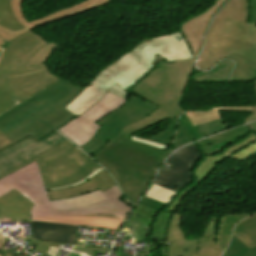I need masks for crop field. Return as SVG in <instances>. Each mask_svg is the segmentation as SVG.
<instances>
[{
    "mask_svg": "<svg viewBox=\"0 0 256 256\" xmlns=\"http://www.w3.org/2000/svg\"><path fill=\"white\" fill-rule=\"evenodd\" d=\"M158 107L132 93L127 102L97 122L102 127L81 149L90 156L97 153L108 141L113 142L124 126L148 116Z\"/></svg>",
    "mask_w": 256,
    "mask_h": 256,
    "instance_id": "obj_9",
    "label": "crop field"
},
{
    "mask_svg": "<svg viewBox=\"0 0 256 256\" xmlns=\"http://www.w3.org/2000/svg\"><path fill=\"white\" fill-rule=\"evenodd\" d=\"M5 241H6V239L3 238L2 236H0V249H1V247H2L3 245H5ZM0 256H2V255H0Z\"/></svg>",
    "mask_w": 256,
    "mask_h": 256,
    "instance_id": "obj_49",
    "label": "crop field"
},
{
    "mask_svg": "<svg viewBox=\"0 0 256 256\" xmlns=\"http://www.w3.org/2000/svg\"><path fill=\"white\" fill-rule=\"evenodd\" d=\"M119 136H122V137H125V138H128V139H131V140H134V141L143 143V144H147V145H150V146L159 148V149L167 150L168 148H170V147L165 146V145H162V144H158V143H155V142H152V141H147V140L142 139V138H138V137H134V136L128 135V134H126V133H124V132H121V133L119 134Z\"/></svg>",
    "mask_w": 256,
    "mask_h": 256,
    "instance_id": "obj_38",
    "label": "crop field"
},
{
    "mask_svg": "<svg viewBox=\"0 0 256 256\" xmlns=\"http://www.w3.org/2000/svg\"><path fill=\"white\" fill-rule=\"evenodd\" d=\"M236 237L235 235H233ZM237 238V237H236ZM242 244H244L249 250L256 248V232L253 234H250L246 237H243L241 239L237 238Z\"/></svg>",
    "mask_w": 256,
    "mask_h": 256,
    "instance_id": "obj_39",
    "label": "crop field"
},
{
    "mask_svg": "<svg viewBox=\"0 0 256 256\" xmlns=\"http://www.w3.org/2000/svg\"><path fill=\"white\" fill-rule=\"evenodd\" d=\"M137 215V214H136ZM158 219V216L157 215H155V216H153V221H151L152 222V224H151V226H150V233L151 234H153V232H152V228H153V225H154V222L156 221Z\"/></svg>",
    "mask_w": 256,
    "mask_h": 256,
    "instance_id": "obj_48",
    "label": "crop field"
},
{
    "mask_svg": "<svg viewBox=\"0 0 256 256\" xmlns=\"http://www.w3.org/2000/svg\"><path fill=\"white\" fill-rule=\"evenodd\" d=\"M194 64V59L162 61L130 88L129 91L160 107L143 120L124 127L123 131L133 134L166 118L172 121L178 117L184 111L179 103Z\"/></svg>",
    "mask_w": 256,
    "mask_h": 256,
    "instance_id": "obj_5",
    "label": "crop field"
},
{
    "mask_svg": "<svg viewBox=\"0 0 256 256\" xmlns=\"http://www.w3.org/2000/svg\"><path fill=\"white\" fill-rule=\"evenodd\" d=\"M102 169H103V168H101V167H100V168H99V169H97L95 172H93L91 175H89V176H88V177H86L84 180H82V181H80V182H78V183H75V184L70 185V186L62 187V188L49 189V190H47V191H51V190H59V189H64V188H68V187L75 186V185L80 184V183H82V182H84V181L88 180L89 178L93 177L95 174H97L98 172H100Z\"/></svg>",
    "mask_w": 256,
    "mask_h": 256,
    "instance_id": "obj_45",
    "label": "crop field"
},
{
    "mask_svg": "<svg viewBox=\"0 0 256 256\" xmlns=\"http://www.w3.org/2000/svg\"><path fill=\"white\" fill-rule=\"evenodd\" d=\"M256 231V214L236 225L233 234L241 238Z\"/></svg>",
    "mask_w": 256,
    "mask_h": 256,
    "instance_id": "obj_33",
    "label": "crop field"
},
{
    "mask_svg": "<svg viewBox=\"0 0 256 256\" xmlns=\"http://www.w3.org/2000/svg\"><path fill=\"white\" fill-rule=\"evenodd\" d=\"M251 214H253V213L225 215L223 227H222L221 238H220V250L221 251H225V249L228 245V242H229V239L231 236V231L233 229V225Z\"/></svg>",
    "mask_w": 256,
    "mask_h": 256,
    "instance_id": "obj_29",
    "label": "crop field"
},
{
    "mask_svg": "<svg viewBox=\"0 0 256 256\" xmlns=\"http://www.w3.org/2000/svg\"><path fill=\"white\" fill-rule=\"evenodd\" d=\"M251 9H250V17L249 22H256V0H250Z\"/></svg>",
    "mask_w": 256,
    "mask_h": 256,
    "instance_id": "obj_43",
    "label": "crop field"
},
{
    "mask_svg": "<svg viewBox=\"0 0 256 256\" xmlns=\"http://www.w3.org/2000/svg\"><path fill=\"white\" fill-rule=\"evenodd\" d=\"M224 215L211 217L210 223L198 241L197 256H221L219 250V237Z\"/></svg>",
    "mask_w": 256,
    "mask_h": 256,
    "instance_id": "obj_23",
    "label": "crop field"
},
{
    "mask_svg": "<svg viewBox=\"0 0 256 256\" xmlns=\"http://www.w3.org/2000/svg\"><path fill=\"white\" fill-rule=\"evenodd\" d=\"M13 144L0 132V150ZM34 203L22 196L15 189L0 198V222H20L19 219H29Z\"/></svg>",
    "mask_w": 256,
    "mask_h": 256,
    "instance_id": "obj_15",
    "label": "crop field"
},
{
    "mask_svg": "<svg viewBox=\"0 0 256 256\" xmlns=\"http://www.w3.org/2000/svg\"><path fill=\"white\" fill-rule=\"evenodd\" d=\"M4 50H5L4 48H1V47H0V59H1V57H2V54H3Z\"/></svg>",
    "mask_w": 256,
    "mask_h": 256,
    "instance_id": "obj_51",
    "label": "crop field"
},
{
    "mask_svg": "<svg viewBox=\"0 0 256 256\" xmlns=\"http://www.w3.org/2000/svg\"><path fill=\"white\" fill-rule=\"evenodd\" d=\"M69 155L73 160L42 173L46 189L78 182L100 167L79 149Z\"/></svg>",
    "mask_w": 256,
    "mask_h": 256,
    "instance_id": "obj_12",
    "label": "crop field"
},
{
    "mask_svg": "<svg viewBox=\"0 0 256 256\" xmlns=\"http://www.w3.org/2000/svg\"><path fill=\"white\" fill-rule=\"evenodd\" d=\"M248 126L254 133H256V121L248 124Z\"/></svg>",
    "mask_w": 256,
    "mask_h": 256,
    "instance_id": "obj_47",
    "label": "crop field"
},
{
    "mask_svg": "<svg viewBox=\"0 0 256 256\" xmlns=\"http://www.w3.org/2000/svg\"><path fill=\"white\" fill-rule=\"evenodd\" d=\"M229 127L228 123H223L221 119L207 124L192 127L185 115L179 117V126L175 138L174 150L192 140L206 137L214 132ZM193 142V141H192Z\"/></svg>",
    "mask_w": 256,
    "mask_h": 256,
    "instance_id": "obj_17",
    "label": "crop field"
},
{
    "mask_svg": "<svg viewBox=\"0 0 256 256\" xmlns=\"http://www.w3.org/2000/svg\"><path fill=\"white\" fill-rule=\"evenodd\" d=\"M156 214H159V212H158V213H156Z\"/></svg>",
    "mask_w": 256,
    "mask_h": 256,
    "instance_id": "obj_53",
    "label": "crop field"
},
{
    "mask_svg": "<svg viewBox=\"0 0 256 256\" xmlns=\"http://www.w3.org/2000/svg\"><path fill=\"white\" fill-rule=\"evenodd\" d=\"M228 58H231L235 62L231 82L256 80V71L251 60L232 53H230Z\"/></svg>",
    "mask_w": 256,
    "mask_h": 256,
    "instance_id": "obj_24",
    "label": "crop field"
},
{
    "mask_svg": "<svg viewBox=\"0 0 256 256\" xmlns=\"http://www.w3.org/2000/svg\"><path fill=\"white\" fill-rule=\"evenodd\" d=\"M170 152L171 148L163 151L117 136L113 143L108 142L91 157L103 165L118 182L123 193L137 203Z\"/></svg>",
    "mask_w": 256,
    "mask_h": 256,
    "instance_id": "obj_4",
    "label": "crop field"
},
{
    "mask_svg": "<svg viewBox=\"0 0 256 256\" xmlns=\"http://www.w3.org/2000/svg\"><path fill=\"white\" fill-rule=\"evenodd\" d=\"M223 256H256V249L249 251L236 238L232 237L230 246Z\"/></svg>",
    "mask_w": 256,
    "mask_h": 256,
    "instance_id": "obj_32",
    "label": "crop field"
},
{
    "mask_svg": "<svg viewBox=\"0 0 256 256\" xmlns=\"http://www.w3.org/2000/svg\"><path fill=\"white\" fill-rule=\"evenodd\" d=\"M56 47L32 30L9 43L0 62V114L59 79L45 65Z\"/></svg>",
    "mask_w": 256,
    "mask_h": 256,
    "instance_id": "obj_2",
    "label": "crop field"
},
{
    "mask_svg": "<svg viewBox=\"0 0 256 256\" xmlns=\"http://www.w3.org/2000/svg\"><path fill=\"white\" fill-rule=\"evenodd\" d=\"M0 254H2V255H4V256H11V255H9V254H7V253L1 251V250H0Z\"/></svg>",
    "mask_w": 256,
    "mask_h": 256,
    "instance_id": "obj_52",
    "label": "crop field"
},
{
    "mask_svg": "<svg viewBox=\"0 0 256 256\" xmlns=\"http://www.w3.org/2000/svg\"><path fill=\"white\" fill-rule=\"evenodd\" d=\"M82 90L61 79L1 114L0 131L14 143L29 135L40 140L76 117L63 107Z\"/></svg>",
    "mask_w": 256,
    "mask_h": 256,
    "instance_id": "obj_3",
    "label": "crop field"
},
{
    "mask_svg": "<svg viewBox=\"0 0 256 256\" xmlns=\"http://www.w3.org/2000/svg\"><path fill=\"white\" fill-rule=\"evenodd\" d=\"M226 157L227 156L222 153L205 157L194 170L195 183L193 184L192 189Z\"/></svg>",
    "mask_w": 256,
    "mask_h": 256,
    "instance_id": "obj_28",
    "label": "crop field"
},
{
    "mask_svg": "<svg viewBox=\"0 0 256 256\" xmlns=\"http://www.w3.org/2000/svg\"><path fill=\"white\" fill-rule=\"evenodd\" d=\"M177 194L178 192L160 187L152 183L145 196L169 205V203Z\"/></svg>",
    "mask_w": 256,
    "mask_h": 256,
    "instance_id": "obj_31",
    "label": "crop field"
},
{
    "mask_svg": "<svg viewBox=\"0 0 256 256\" xmlns=\"http://www.w3.org/2000/svg\"><path fill=\"white\" fill-rule=\"evenodd\" d=\"M249 9V0H229L224 5L210 25L198 69H211L230 52L252 59L256 69V44L249 41Z\"/></svg>",
    "mask_w": 256,
    "mask_h": 256,
    "instance_id": "obj_6",
    "label": "crop field"
},
{
    "mask_svg": "<svg viewBox=\"0 0 256 256\" xmlns=\"http://www.w3.org/2000/svg\"><path fill=\"white\" fill-rule=\"evenodd\" d=\"M225 1L226 0H216L215 4L204 13L181 24L182 33L187 43L189 44L195 59L197 57L198 50L200 48L210 19L214 13L225 3Z\"/></svg>",
    "mask_w": 256,
    "mask_h": 256,
    "instance_id": "obj_16",
    "label": "crop field"
},
{
    "mask_svg": "<svg viewBox=\"0 0 256 256\" xmlns=\"http://www.w3.org/2000/svg\"><path fill=\"white\" fill-rule=\"evenodd\" d=\"M110 0H85L78 5L71 7L69 9H63L56 11L55 13L46 16L45 18H40L34 21L28 22L24 17L22 13V7H21V0H11V8L17 18V20L25 27L21 30H18L17 32L8 30L2 26H0V36L6 41L9 42L11 39L13 40L17 36L21 35L22 33L34 29L35 27H38L39 25H44L46 23H50L54 20H60L66 17H69L71 15H77L78 13L87 12L94 8H98L100 6H103L107 3H110ZM87 8V10H85ZM52 19V20H50Z\"/></svg>",
    "mask_w": 256,
    "mask_h": 256,
    "instance_id": "obj_14",
    "label": "crop field"
},
{
    "mask_svg": "<svg viewBox=\"0 0 256 256\" xmlns=\"http://www.w3.org/2000/svg\"><path fill=\"white\" fill-rule=\"evenodd\" d=\"M233 62L224 60L208 72L195 75L196 82H228Z\"/></svg>",
    "mask_w": 256,
    "mask_h": 256,
    "instance_id": "obj_25",
    "label": "crop field"
},
{
    "mask_svg": "<svg viewBox=\"0 0 256 256\" xmlns=\"http://www.w3.org/2000/svg\"><path fill=\"white\" fill-rule=\"evenodd\" d=\"M157 211L150 209L148 207H145L141 204L137 207V209L134 211V213H137L143 217L149 218L152 220V215L156 213ZM133 213V214H134ZM130 217V220L138 221L140 223V226L138 227L136 232L130 231L134 237H136L137 241L142 239V235L140 234L143 231H147L148 227L150 226L151 222L147 219L141 218L139 216L133 215ZM172 214L161 212L159 215V219L156 221L153 232L155 235H158L163 238V240H166V234H167V227L169 224V221L171 219Z\"/></svg>",
    "mask_w": 256,
    "mask_h": 256,
    "instance_id": "obj_20",
    "label": "crop field"
},
{
    "mask_svg": "<svg viewBox=\"0 0 256 256\" xmlns=\"http://www.w3.org/2000/svg\"><path fill=\"white\" fill-rule=\"evenodd\" d=\"M125 101L126 100L107 92L93 107L74 121L59 129V131L80 147L88 143L99 130L100 126L95 123Z\"/></svg>",
    "mask_w": 256,
    "mask_h": 256,
    "instance_id": "obj_11",
    "label": "crop field"
},
{
    "mask_svg": "<svg viewBox=\"0 0 256 256\" xmlns=\"http://www.w3.org/2000/svg\"><path fill=\"white\" fill-rule=\"evenodd\" d=\"M246 125L227 131L203 141L196 142L204 156L220 153L227 146H230L249 133Z\"/></svg>",
    "mask_w": 256,
    "mask_h": 256,
    "instance_id": "obj_21",
    "label": "crop field"
},
{
    "mask_svg": "<svg viewBox=\"0 0 256 256\" xmlns=\"http://www.w3.org/2000/svg\"><path fill=\"white\" fill-rule=\"evenodd\" d=\"M141 204L148 206L150 208H153L157 211H161V210H165V208L167 207V205H164L162 203L156 202L154 200L148 199L146 197H144V199L141 201Z\"/></svg>",
    "mask_w": 256,
    "mask_h": 256,
    "instance_id": "obj_41",
    "label": "crop field"
},
{
    "mask_svg": "<svg viewBox=\"0 0 256 256\" xmlns=\"http://www.w3.org/2000/svg\"><path fill=\"white\" fill-rule=\"evenodd\" d=\"M193 58L181 32L142 40L131 52L99 72L91 84L64 108L77 117L109 91L124 99L136 82L161 60L171 62Z\"/></svg>",
    "mask_w": 256,
    "mask_h": 256,
    "instance_id": "obj_1",
    "label": "crop field"
},
{
    "mask_svg": "<svg viewBox=\"0 0 256 256\" xmlns=\"http://www.w3.org/2000/svg\"><path fill=\"white\" fill-rule=\"evenodd\" d=\"M181 216L173 214L171 222L168 227L167 240L185 239L179 224Z\"/></svg>",
    "mask_w": 256,
    "mask_h": 256,
    "instance_id": "obj_35",
    "label": "crop field"
},
{
    "mask_svg": "<svg viewBox=\"0 0 256 256\" xmlns=\"http://www.w3.org/2000/svg\"><path fill=\"white\" fill-rule=\"evenodd\" d=\"M109 248H97V247H79L75 246L74 250L89 253L94 255L95 252L107 254Z\"/></svg>",
    "mask_w": 256,
    "mask_h": 256,
    "instance_id": "obj_42",
    "label": "crop field"
},
{
    "mask_svg": "<svg viewBox=\"0 0 256 256\" xmlns=\"http://www.w3.org/2000/svg\"><path fill=\"white\" fill-rule=\"evenodd\" d=\"M118 186L105 192L95 191L75 198L50 201L54 215L96 216L123 221L132 207L120 200Z\"/></svg>",
    "mask_w": 256,
    "mask_h": 256,
    "instance_id": "obj_8",
    "label": "crop field"
},
{
    "mask_svg": "<svg viewBox=\"0 0 256 256\" xmlns=\"http://www.w3.org/2000/svg\"><path fill=\"white\" fill-rule=\"evenodd\" d=\"M9 1L10 0H0V25L13 30L23 28V26L14 17Z\"/></svg>",
    "mask_w": 256,
    "mask_h": 256,
    "instance_id": "obj_30",
    "label": "crop field"
},
{
    "mask_svg": "<svg viewBox=\"0 0 256 256\" xmlns=\"http://www.w3.org/2000/svg\"><path fill=\"white\" fill-rule=\"evenodd\" d=\"M253 109L254 106L215 107L209 112H185L184 114L192 126H195L221 118V114L218 110L253 111Z\"/></svg>",
    "mask_w": 256,
    "mask_h": 256,
    "instance_id": "obj_26",
    "label": "crop field"
},
{
    "mask_svg": "<svg viewBox=\"0 0 256 256\" xmlns=\"http://www.w3.org/2000/svg\"><path fill=\"white\" fill-rule=\"evenodd\" d=\"M16 189L34 202L31 220L119 230L122 222L95 217L53 216L37 160L0 179V197Z\"/></svg>",
    "mask_w": 256,
    "mask_h": 256,
    "instance_id": "obj_7",
    "label": "crop field"
},
{
    "mask_svg": "<svg viewBox=\"0 0 256 256\" xmlns=\"http://www.w3.org/2000/svg\"><path fill=\"white\" fill-rule=\"evenodd\" d=\"M66 139L56 131L40 141L30 136L0 151V174L20 165Z\"/></svg>",
    "mask_w": 256,
    "mask_h": 256,
    "instance_id": "obj_13",
    "label": "crop field"
},
{
    "mask_svg": "<svg viewBox=\"0 0 256 256\" xmlns=\"http://www.w3.org/2000/svg\"><path fill=\"white\" fill-rule=\"evenodd\" d=\"M255 83H256V81H255ZM253 119H256V108L254 110V113L251 116H249L247 119H245L244 122H247V121H250Z\"/></svg>",
    "mask_w": 256,
    "mask_h": 256,
    "instance_id": "obj_46",
    "label": "crop field"
},
{
    "mask_svg": "<svg viewBox=\"0 0 256 256\" xmlns=\"http://www.w3.org/2000/svg\"><path fill=\"white\" fill-rule=\"evenodd\" d=\"M5 41L2 39V38H0V46H3V45H5Z\"/></svg>",
    "mask_w": 256,
    "mask_h": 256,
    "instance_id": "obj_50",
    "label": "crop field"
},
{
    "mask_svg": "<svg viewBox=\"0 0 256 256\" xmlns=\"http://www.w3.org/2000/svg\"><path fill=\"white\" fill-rule=\"evenodd\" d=\"M190 191V189H185L183 192L179 193L176 198L170 203V205L165 210L166 212L173 213L175 208L178 206V204L181 202L183 197Z\"/></svg>",
    "mask_w": 256,
    "mask_h": 256,
    "instance_id": "obj_40",
    "label": "crop field"
},
{
    "mask_svg": "<svg viewBox=\"0 0 256 256\" xmlns=\"http://www.w3.org/2000/svg\"><path fill=\"white\" fill-rule=\"evenodd\" d=\"M116 183L109 176V174L103 169L100 173H98L93 178L88 181L69 189L59 190L47 192L50 200L53 199H63L75 197L81 194H85L87 192L95 191L97 189L102 192L107 190L108 188L114 186Z\"/></svg>",
    "mask_w": 256,
    "mask_h": 256,
    "instance_id": "obj_19",
    "label": "crop field"
},
{
    "mask_svg": "<svg viewBox=\"0 0 256 256\" xmlns=\"http://www.w3.org/2000/svg\"><path fill=\"white\" fill-rule=\"evenodd\" d=\"M176 119L166 130L158 133L157 135L149 138L148 140L159 142V143H162V144H165V145H168L171 147L172 146V138L176 131Z\"/></svg>",
    "mask_w": 256,
    "mask_h": 256,
    "instance_id": "obj_34",
    "label": "crop field"
},
{
    "mask_svg": "<svg viewBox=\"0 0 256 256\" xmlns=\"http://www.w3.org/2000/svg\"><path fill=\"white\" fill-rule=\"evenodd\" d=\"M203 159L196 143L178 150L167 161L170 168L163 166L154 183L181 192L194 183L193 169Z\"/></svg>",
    "mask_w": 256,
    "mask_h": 256,
    "instance_id": "obj_10",
    "label": "crop field"
},
{
    "mask_svg": "<svg viewBox=\"0 0 256 256\" xmlns=\"http://www.w3.org/2000/svg\"><path fill=\"white\" fill-rule=\"evenodd\" d=\"M21 237L23 236L21 235ZM23 239L29 240V239H32V237L31 236L23 237ZM59 245H65V244L39 240L38 244L35 246L33 250L45 255L50 246L58 247Z\"/></svg>",
    "mask_w": 256,
    "mask_h": 256,
    "instance_id": "obj_36",
    "label": "crop field"
},
{
    "mask_svg": "<svg viewBox=\"0 0 256 256\" xmlns=\"http://www.w3.org/2000/svg\"><path fill=\"white\" fill-rule=\"evenodd\" d=\"M256 151V142L247 146L246 148L234 153L232 156H229L230 158L236 159L238 161H241L245 157L249 156L253 152Z\"/></svg>",
    "mask_w": 256,
    "mask_h": 256,
    "instance_id": "obj_37",
    "label": "crop field"
},
{
    "mask_svg": "<svg viewBox=\"0 0 256 256\" xmlns=\"http://www.w3.org/2000/svg\"><path fill=\"white\" fill-rule=\"evenodd\" d=\"M75 149H77V147H75L73 144H71L67 140V141L61 143L60 145H57L54 148H51L50 150L43 153L42 155L36 156L35 158L29 160L28 162L21 164L17 168L12 169V170L0 175V178L7 175L10 172H13V171L19 169L20 167H22L30 162H33L35 159L38 160L39 165H40V170H41V172H43L47 169H50L54 166H57L59 164H62L66 161L71 160V158L69 157V155L67 153L72 150H75Z\"/></svg>",
    "mask_w": 256,
    "mask_h": 256,
    "instance_id": "obj_22",
    "label": "crop field"
},
{
    "mask_svg": "<svg viewBox=\"0 0 256 256\" xmlns=\"http://www.w3.org/2000/svg\"><path fill=\"white\" fill-rule=\"evenodd\" d=\"M77 226L31 221L32 237L61 243H73Z\"/></svg>",
    "mask_w": 256,
    "mask_h": 256,
    "instance_id": "obj_18",
    "label": "crop field"
},
{
    "mask_svg": "<svg viewBox=\"0 0 256 256\" xmlns=\"http://www.w3.org/2000/svg\"><path fill=\"white\" fill-rule=\"evenodd\" d=\"M197 240L167 241V256H196Z\"/></svg>",
    "mask_w": 256,
    "mask_h": 256,
    "instance_id": "obj_27",
    "label": "crop field"
},
{
    "mask_svg": "<svg viewBox=\"0 0 256 256\" xmlns=\"http://www.w3.org/2000/svg\"><path fill=\"white\" fill-rule=\"evenodd\" d=\"M250 40L256 42V23H249Z\"/></svg>",
    "mask_w": 256,
    "mask_h": 256,
    "instance_id": "obj_44",
    "label": "crop field"
}]
</instances>
